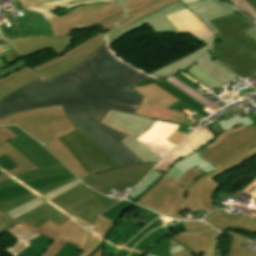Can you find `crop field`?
I'll use <instances>...</instances> for the list:
<instances>
[{"instance_id":"obj_46","label":"crop field","mask_w":256,"mask_h":256,"mask_svg":"<svg viewBox=\"0 0 256 256\" xmlns=\"http://www.w3.org/2000/svg\"><path fill=\"white\" fill-rule=\"evenodd\" d=\"M193 129L180 125V127L168 138V140L174 142L176 145Z\"/></svg>"},{"instance_id":"obj_68","label":"crop field","mask_w":256,"mask_h":256,"mask_svg":"<svg viewBox=\"0 0 256 256\" xmlns=\"http://www.w3.org/2000/svg\"><path fill=\"white\" fill-rule=\"evenodd\" d=\"M251 150L256 153V146L251 148Z\"/></svg>"},{"instance_id":"obj_16","label":"crop field","mask_w":256,"mask_h":256,"mask_svg":"<svg viewBox=\"0 0 256 256\" xmlns=\"http://www.w3.org/2000/svg\"><path fill=\"white\" fill-rule=\"evenodd\" d=\"M18 137L10 140L39 169L62 165L49 151L16 126H7Z\"/></svg>"},{"instance_id":"obj_63","label":"crop field","mask_w":256,"mask_h":256,"mask_svg":"<svg viewBox=\"0 0 256 256\" xmlns=\"http://www.w3.org/2000/svg\"><path fill=\"white\" fill-rule=\"evenodd\" d=\"M172 229L176 232V234L183 231L182 224L179 226H174Z\"/></svg>"},{"instance_id":"obj_2","label":"crop field","mask_w":256,"mask_h":256,"mask_svg":"<svg viewBox=\"0 0 256 256\" xmlns=\"http://www.w3.org/2000/svg\"><path fill=\"white\" fill-rule=\"evenodd\" d=\"M142 96L128 87L100 97L63 104L62 107L76 129H82L120 167L143 163L119 140L128 136L99 125L110 109L133 113Z\"/></svg>"},{"instance_id":"obj_18","label":"crop field","mask_w":256,"mask_h":256,"mask_svg":"<svg viewBox=\"0 0 256 256\" xmlns=\"http://www.w3.org/2000/svg\"><path fill=\"white\" fill-rule=\"evenodd\" d=\"M179 127L178 124L156 121L155 124L138 139L161 159L176 145L166 139Z\"/></svg>"},{"instance_id":"obj_9","label":"crop field","mask_w":256,"mask_h":256,"mask_svg":"<svg viewBox=\"0 0 256 256\" xmlns=\"http://www.w3.org/2000/svg\"><path fill=\"white\" fill-rule=\"evenodd\" d=\"M156 1L120 0L106 5L79 7L63 17L55 16L47 22L51 24L54 36L69 35L74 29H86L99 22L103 27Z\"/></svg>"},{"instance_id":"obj_62","label":"crop field","mask_w":256,"mask_h":256,"mask_svg":"<svg viewBox=\"0 0 256 256\" xmlns=\"http://www.w3.org/2000/svg\"><path fill=\"white\" fill-rule=\"evenodd\" d=\"M103 252H104V245L102 247H100L93 256H103Z\"/></svg>"},{"instance_id":"obj_42","label":"crop field","mask_w":256,"mask_h":256,"mask_svg":"<svg viewBox=\"0 0 256 256\" xmlns=\"http://www.w3.org/2000/svg\"><path fill=\"white\" fill-rule=\"evenodd\" d=\"M235 114L236 115L234 117L226 121L222 119L217 123L222 128L223 131L235 128L239 125H243L245 127H250L255 125L248 117L240 118L237 113Z\"/></svg>"},{"instance_id":"obj_26","label":"crop field","mask_w":256,"mask_h":256,"mask_svg":"<svg viewBox=\"0 0 256 256\" xmlns=\"http://www.w3.org/2000/svg\"><path fill=\"white\" fill-rule=\"evenodd\" d=\"M152 83L158 85L159 87L163 88L167 92L171 93L173 96L178 98L180 101H182L183 103H185L186 105H188L189 107H191L192 109L196 110L197 112L201 113L202 115H204L206 117L209 116L210 114H212L213 112H215V111L207 108L206 106H204L202 103H200L195 98L184 93L179 88H177L176 86H174L172 83H170L169 81H167L165 79H155V78L151 77V78H149L147 80H143L133 86L148 85V84H152Z\"/></svg>"},{"instance_id":"obj_31","label":"crop field","mask_w":256,"mask_h":256,"mask_svg":"<svg viewBox=\"0 0 256 256\" xmlns=\"http://www.w3.org/2000/svg\"><path fill=\"white\" fill-rule=\"evenodd\" d=\"M80 183H82V182L79 181L78 179H76V180H74V181H72V182H70L68 184H65V185H63V186H61V187H59L57 189H54V190H52V191H50V192H48V193H46V194H44V195L34 199L32 201H29V202H27V203H25V204L15 208V209H13V210L7 212V214L10 215L14 219V218H16V217H18V216H20V215L30 211L31 209H33V208H35V207H37V206H39V205L49 201L50 199H52V198H54V197H56V196H58V195H60V194H62L64 192H66L67 190H69V189L73 188L74 186H76V184L78 185Z\"/></svg>"},{"instance_id":"obj_7","label":"crop field","mask_w":256,"mask_h":256,"mask_svg":"<svg viewBox=\"0 0 256 256\" xmlns=\"http://www.w3.org/2000/svg\"><path fill=\"white\" fill-rule=\"evenodd\" d=\"M210 23L220 31L215 34V59L245 79L256 70V42L244 31L255 24L238 12Z\"/></svg>"},{"instance_id":"obj_70","label":"crop field","mask_w":256,"mask_h":256,"mask_svg":"<svg viewBox=\"0 0 256 256\" xmlns=\"http://www.w3.org/2000/svg\"><path fill=\"white\" fill-rule=\"evenodd\" d=\"M2 64H3V62H2L1 57H0V68H1Z\"/></svg>"},{"instance_id":"obj_34","label":"crop field","mask_w":256,"mask_h":256,"mask_svg":"<svg viewBox=\"0 0 256 256\" xmlns=\"http://www.w3.org/2000/svg\"><path fill=\"white\" fill-rule=\"evenodd\" d=\"M16 24L21 38L27 36H53L50 24L46 20H24Z\"/></svg>"},{"instance_id":"obj_12","label":"crop field","mask_w":256,"mask_h":256,"mask_svg":"<svg viewBox=\"0 0 256 256\" xmlns=\"http://www.w3.org/2000/svg\"><path fill=\"white\" fill-rule=\"evenodd\" d=\"M22 224L54 239L48 249L41 256H54L67 241L79 245L77 250L83 251L86 240L93 226V224L76 215L60 226L50 220L38 229L24 221Z\"/></svg>"},{"instance_id":"obj_24","label":"crop field","mask_w":256,"mask_h":256,"mask_svg":"<svg viewBox=\"0 0 256 256\" xmlns=\"http://www.w3.org/2000/svg\"><path fill=\"white\" fill-rule=\"evenodd\" d=\"M186 7L189 8L200 20H202L214 33L218 32V30L208 21L236 12L213 0L196 1L186 4Z\"/></svg>"},{"instance_id":"obj_33","label":"crop field","mask_w":256,"mask_h":256,"mask_svg":"<svg viewBox=\"0 0 256 256\" xmlns=\"http://www.w3.org/2000/svg\"><path fill=\"white\" fill-rule=\"evenodd\" d=\"M7 232L18 240L13 246L5 249L13 256L19 254L22 250L32 244L40 236V234L23 226L22 224L15 226Z\"/></svg>"},{"instance_id":"obj_32","label":"crop field","mask_w":256,"mask_h":256,"mask_svg":"<svg viewBox=\"0 0 256 256\" xmlns=\"http://www.w3.org/2000/svg\"><path fill=\"white\" fill-rule=\"evenodd\" d=\"M52 239L41 235L32 245L17 256H40L49 246ZM77 245L66 243L55 256H79L81 251L75 250Z\"/></svg>"},{"instance_id":"obj_69","label":"crop field","mask_w":256,"mask_h":256,"mask_svg":"<svg viewBox=\"0 0 256 256\" xmlns=\"http://www.w3.org/2000/svg\"><path fill=\"white\" fill-rule=\"evenodd\" d=\"M197 219H199V218H197V217H192L190 220H197Z\"/></svg>"},{"instance_id":"obj_54","label":"crop field","mask_w":256,"mask_h":256,"mask_svg":"<svg viewBox=\"0 0 256 256\" xmlns=\"http://www.w3.org/2000/svg\"><path fill=\"white\" fill-rule=\"evenodd\" d=\"M170 245H171V247H170L171 254L185 250V248L181 244H178L177 242H175L172 239H169V246Z\"/></svg>"},{"instance_id":"obj_5","label":"crop field","mask_w":256,"mask_h":256,"mask_svg":"<svg viewBox=\"0 0 256 256\" xmlns=\"http://www.w3.org/2000/svg\"><path fill=\"white\" fill-rule=\"evenodd\" d=\"M60 140L91 175L82 181L104 195L110 189L121 191L137 184L156 164L120 168L81 129Z\"/></svg>"},{"instance_id":"obj_20","label":"crop field","mask_w":256,"mask_h":256,"mask_svg":"<svg viewBox=\"0 0 256 256\" xmlns=\"http://www.w3.org/2000/svg\"><path fill=\"white\" fill-rule=\"evenodd\" d=\"M15 166L17 165L14 164L5 155L0 157V174L14 168ZM64 173L69 174L71 172L66 167L51 168V169L37 170V171H27L1 182L0 188L13 186V185L33 181V180L51 177V176L63 175Z\"/></svg>"},{"instance_id":"obj_27","label":"crop field","mask_w":256,"mask_h":256,"mask_svg":"<svg viewBox=\"0 0 256 256\" xmlns=\"http://www.w3.org/2000/svg\"><path fill=\"white\" fill-rule=\"evenodd\" d=\"M4 154L7 157H9L13 162H15L18 166L7 173L0 175V182L18 173H21L27 170L38 169L9 141L0 144V156Z\"/></svg>"},{"instance_id":"obj_17","label":"crop field","mask_w":256,"mask_h":256,"mask_svg":"<svg viewBox=\"0 0 256 256\" xmlns=\"http://www.w3.org/2000/svg\"><path fill=\"white\" fill-rule=\"evenodd\" d=\"M182 8H185L183 3L181 1L174 3L172 5H169L151 15L148 17L120 30L119 32L109 36L107 39L110 44L116 42L120 38L124 37L128 33L143 27L145 25H149L150 28L156 33H179L178 30L175 28L173 24L169 20H167L164 16L168 15L174 11L180 10Z\"/></svg>"},{"instance_id":"obj_52","label":"crop field","mask_w":256,"mask_h":256,"mask_svg":"<svg viewBox=\"0 0 256 256\" xmlns=\"http://www.w3.org/2000/svg\"><path fill=\"white\" fill-rule=\"evenodd\" d=\"M240 10H242L243 12L247 13L248 15H250L254 20H256V12L254 11V9L244 0L241 2V4L237 7Z\"/></svg>"},{"instance_id":"obj_36","label":"crop field","mask_w":256,"mask_h":256,"mask_svg":"<svg viewBox=\"0 0 256 256\" xmlns=\"http://www.w3.org/2000/svg\"><path fill=\"white\" fill-rule=\"evenodd\" d=\"M197 154L198 153H195V154H192V155L182 159L181 161H179L174 166L177 167L183 173L187 169H190V168L195 167V166L201 167L207 173L211 172L213 170H216V168L213 165H211L210 163H208L205 160H203L202 158H200Z\"/></svg>"},{"instance_id":"obj_10","label":"crop field","mask_w":256,"mask_h":256,"mask_svg":"<svg viewBox=\"0 0 256 256\" xmlns=\"http://www.w3.org/2000/svg\"><path fill=\"white\" fill-rule=\"evenodd\" d=\"M256 145V133L247 129L232 133L216 146L199 155L216 168L225 172L249 158L255 157L249 148Z\"/></svg>"},{"instance_id":"obj_28","label":"crop field","mask_w":256,"mask_h":256,"mask_svg":"<svg viewBox=\"0 0 256 256\" xmlns=\"http://www.w3.org/2000/svg\"><path fill=\"white\" fill-rule=\"evenodd\" d=\"M69 177L70 178L74 177V175L69 174V175L51 177V178L42 179V180H38V181L26 183V184H21L13 187L0 189V200H8V199L16 198L27 192L38 190L52 183H55L64 179H68Z\"/></svg>"},{"instance_id":"obj_50","label":"crop field","mask_w":256,"mask_h":256,"mask_svg":"<svg viewBox=\"0 0 256 256\" xmlns=\"http://www.w3.org/2000/svg\"><path fill=\"white\" fill-rule=\"evenodd\" d=\"M244 128H245V127L240 126V127L235 128V129H232V130H229V131H226V132H222L221 134L218 135V138L215 140L214 143L210 144L209 146L207 145L208 147H206V148L200 150V153H199V154L203 153L204 151H206V150H208L209 148L213 147L214 145L218 144V143L223 139V137H224L225 135H227V134H229V133H232V132H235V131H238V130H242V129H244ZM199 154H198V155H199Z\"/></svg>"},{"instance_id":"obj_41","label":"crop field","mask_w":256,"mask_h":256,"mask_svg":"<svg viewBox=\"0 0 256 256\" xmlns=\"http://www.w3.org/2000/svg\"><path fill=\"white\" fill-rule=\"evenodd\" d=\"M188 70L190 73H192L194 76H196L198 79L203 81L208 86L215 88V87H221L223 83L213 78L211 75H209L207 72H205L203 69H201L197 65H192L189 67Z\"/></svg>"},{"instance_id":"obj_59","label":"crop field","mask_w":256,"mask_h":256,"mask_svg":"<svg viewBox=\"0 0 256 256\" xmlns=\"http://www.w3.org/2000/svg\"><path fill=\"white\" fill-rule=\"evenodd\" d=\"M245 32L256 41V26Z\"/></svg>"},{"instance_id":"obj_39","label":"crop field","mask_w":256,"mask_h":256,"mask_svg":"<svg viewBox=\"0 0 256 256\" xmlns=\"http://www.w3.org/2000/svg\"><path fill=\"white\" fill-rule=\"evenodd\" d=\"M192 152L194 151L191 148L182 143L179 147L172 151L165 159H163L154 170L165 173L170 168L169 166L173 161L182 156H186Z\"/></svg>"},{"instance_id":"obj_29","label":"crop field","mask_w":256,"mask_h":256,"mask_svg":"<svg viewBox=\"0 0 256 256\" xmlns=\"http://www.w3.org/2000/svg\"><path fill=\"white\" fill-rule=\"evenodd\" d=\"M179 0H160L142 10H139L129 16H126L106 27H104L106 37L117 32L118 30L132 24L133 22Z\"/></svg>"},{"instance_id":"obj_71","label":"crop field","mask_w":256,"mask_h":256,"mask_svg":"<svg viewBox=\"0 0 256 256\" xmlns=\"http://www.w3.org/2000/svg\"><path fill=\"white\" fill-rule=\"evenodd\" d=\"M251 75H256V71L254 73H252Z\"/></svg>"},{"instance_id":"obj_3","label":"crop field","mask_w":256,"mask_h":256,"mask_svg":"<svg viewBox=\"0 0 256 256\" xmlns=\"http://www.w3.org/2000/svg\"><path fill=\"white\" fill-rule=\"evenodd\" d=\"M72 179L74 180L76 177L52 184L35 192L27 193L13 200L0 201V209L5 213L54 188L72 181ZM117 202L119 200L107 198L92 191L82 183L14 220L5 214L17 224L24 220L36 228L49 219L60 225L75 214L93 223L94 219L100 213Z\"/></svg>"},{"instance_id":"obj_35","label":"crop field","mask_w":256,"mask_h":256,"mask_svg":"<svg viewBox=\"0 0 256 256\" xmlns=\"http://www.w3.org/2000/svg\"><path fill=\"white\" fill-rule=\"evenodd\" d=\"M76 1H81V0H59V1H54V2H50V3L42 4V5L29 6L26 9L33 10V11H38V12L42 13L45 16L46 19H48V18H51V17L55 16L52 13H50L48 10L55 9V8H57V9L58 8H66L67 9V8L72 7L74 5H81V4H88V3H91V2H96V1H91V2H85V3H77V4H74V5H67L69 3L76 2ZM97 1L112 2V1H115V0H97Z\"/></svg>"},{"instance_id":"obj_66","label":"crop field","mask_w":256,"mask_h":256,"mask_svg":"<svg viewBox=\"0 0 256 256\" xmlns=\"http://www.w3.org/2000/svg\"><path fill=\"white\" fill-rule=\"evenodd\" d=\"M222 1H224V2H226V3H228V4L232 5V6H234V4L231 2V0H222Z\"/></svg>"},{"instance_id":"obj_30","label":"crop field","mask_w":256,"mask_h":256,"mask_svg":"<svg viewBox=\"0 0 256 256\" xmlns=\"http://www.w3.org/2000/svg\"><path fill=\"white\" fill-rule=\"evenodd\" d=\"M115 222L98 216L87 246L81 256H92L104 244L105 235L112 229Z\"/></svg>"},{"instance_id":"obj_58","label":"crop field","mask_w":256,"mask_h":256,"mask_svg":"<svg viewBox=\"0 0 256 256\" xmlns=\"http://www.w3.org/2000/svg\"><path fill=\"white\" fill-rule=\"evenodd\" d=\"M173 256H194V255L192 253H190L188 250H185L180 253L174 254ZM202 256H213V255L204 251Z\"/></svg>"},{"instance_id":"obj_51","label":"crop field","mask_w":256,"mask_h":256,"mask_svg":"<svg viewBox=\"0 0 256 256\" xmlns=\"http://www.w3.org/2000/svg\"><path fill=\"white\" fill-rule=\"evenodd\" d=\"M16 137L7 127L0 126V143Z\"/></svg>"},{"instance_id":"obj_15","label":"crop field","mask_w":256,"mask_h":256,"mask_svg":"<svg viewBox=\"0 0 256 256\" xmlns=\"http://www.w3.org/2000/svg\"><path fill=\"white\" fill-rule=\"evenodd\" d=\"M182 223L184 231L172 239L181 243L195 256H201L204 250L217 255V231L214 228L200 222Z\"/></svg>"},{"instance_id":"obj_37","label":"crop field","mask_w":256,"mask_h":256,"mask_svg":"<svg viewBox=\"0 0 256 256\" xmlns=\"http://www.w3.org/2000/svg\"><path fill=\"white\" fill-rule=\"evenodd\" d=\"M215 137V134L207 128L198 126L194 132L183 142L189 144L195 150L206 144L211 138Z\"/></svg>"},{"instance_id":"obj_57","label":"crop field","mask_w":256,"mask_h":256,"mask_svg":"<svg viewBox=\"0 0 256 256\" xmlns=\"http://www.w3.org/2000/svg\"><path fill=\"white\" fill-rule=\"evenodd\" d=\"M19 1L26 6H29V5L39 4V3H43L51 0H19Z\"/></svg>"},{"instance_id":"obj_55","label":"crop field","mask_w":256,"mask_h":256,"mask_svg":"<svg viewBox=\"0 0 256 256\" xmlns=\"http://www.w3.org/2000/svg\"><path fill=\"white\" fill-rule=\"evenodd\" d=\"M242 192L256 199V179L248 187L242 190Z\"/></svg>"},{"instance_id":"obj_49","label":"crop field","mask_w":256,"mask_h":256,"mask_svg":"<svg viewBox=\"0 0 256 256\" xmlns=\"http://www.w3.org/2000/svg\"><path fill=\"white\" fill-rule=\"evenodd\" d=\"M27 65L22 59L14 64H12L11 66L3 69L1 72H0V78Z\"/></svg>"},{"instance_id":"obj_53","label":"crop field","mask_w":256,"mask_h":256,"mask_svg":"<svg viewBox=\"0 0 256 256\" xmlns=\"http://www.w3.org/2000/svg\"><path fill=\"white\" fill-rule=\"evenodd\" d=\"M22 11L27 14L26 17L25 18L16 19V22L20 21V20H24V19H45L43 17V15L40 14V13L32 12V11H27V10H24V9Z\"/></svg>"},{"instance_id":"obj_40","label":"crop field","mask_w":256,"mask_h":256,"mask_svg":"<svg viewBox=\"0 0 256 256\" xmlns=\"http://www.w3.org/2000/svg\"><path fill=\"white\" fill-rule=\"evenodd\" d=\"M167 80L172 82L174 85L179 87L184 92H186V93L190 94L191 96L195 97L196 99H198L200 102H202L207 107H209V108H211V109H213L215 111L220 108L219 106H217L213 102L209 101L205 97H203V96L199 95L198 93L194 92L195 90L193 91L191 88H189L188 86H186L185 84H183L182 82L177 80L175 77L172 76V77L168 78Z\"/></svg>"},{"instance_id":"obj_60","label":"crop field","mask_w":256,"mask_h":256,"mask_svg":"<svg viewBox=\"0 0 256 256\" xmlns=\"http://www.w3.org/2000/svg\"><path fill=\"white\" fill-rule=\"evenodd\" d=\"M202 40H204L212 49L213 35L208 38L202 39Z\"/></svg>"},{"instance_id":"obj_67","label":"crop field","mask_w":256,"mask_h":256,"mask_svg":"<svg viewBox=\"0 0 256 256\" xmlns=\"http://www.w3.org/2000/svg\"><path fill=\"white\" fill-rule=\"evenodd\" d=\"M184 2V4L186 3H189V2H193V1H196V0H182Z\"/></svg>"},{"instance_id":"obj_47","label":"crop field","mask_w":256,"mask_h":256,"mask_svg":"<svg viewBox=\"0 0 256 256\" xmlns=\"http://www.w3.org/2000/svg\"><path fill=\"white\" fill-rule=\"evenodd\" d=\"M124 244L117 242L116 244L105 239V253L104 256H112L115 254Z\"/></svg>"},{"instance_id":"obj_56","label":"crop field","mask_w":256,"mask_h":256,"mask_svg":"<svg viewBox=\"0 0 256 256\" xmlns=\"http://www.w3.org/2000/svg\"><path fill=\"white\" fill-rule=\"evenodd\" d=\"M183 175L182 172H180L177 168H175L174 166H172V168H170L165 176L174 178V179H179L181 176Z\"/></svg>"},{"instance_id":"obj_14","label":"crop field","mask_w":256,"mask_h":256,"mask_svg":"<svg viewBox=\"0 0 256 256\" xmlns=\"http://www.w3.org/2000/svg\"><path fill=\"white\" fill-rule=\"evenodd\" d=\"M197 64L210 73L212 76L223 82L224 84L237 78L232 73L218 65L212 58L211 51L209 50L208 46H204L198 51L162 68L159 69L151 75L156 77H168L172 74L178 73L181 70L188 68L192 64Z\"/></svg>"},{"instance_id":"obj_6","label":"crop field","mask_w":256,"mask_h":256,"mask_svg":"<svg viewBox=\"0 0 256 256\" xmlns=\"http://www.w3.org/2000/svg\"><path fill=\"white\" fill-rule=\"evenodd\" d=\"M0 124H17L51 150L80 179L89 176L74 156L58 139L76 131L61 105L12 114ZM27 132V133H28Z\"/></svg>"},{"instance_id":"obj_45","label":"crop field","mask_w":256,"mask_h":256,"mask_svg":"<svg viewBox=\"0 0 256 256\" xmlns=\"http://www.w3.org/2000/svg\"><path fill=\"white\" fill-rule=\"evenodd\" d=\"M11 28H7L6 24H1L0 25V30L1 33L4 37L5 40H14V39H19V33L17 30V26H10Z\"/></svg>"},{"instance_id":"obj_1","label":"crop field","mask_w":256,"mask_h":256,"mask_svg":"<svg viewBox=\"0 0 256 256\" xmlns=\"http://www.w3.org/2000/svg\"><path fill=\"white\" fill-rule=\"evenodd\" d=\"M148 77L118 59L106 42L75 69L48 81L40 78L2 98L0 118L19 111L101 95Z\"/></svg>"},{"instance_id":"obj_11","label":"crop field","mask_w":256,"mask_h":256,"mask_svg":"<svg viewBox=\"0 0 256 256\" xmlns=\"http://www.w3.org/2000/svg\"><path fill=\"white\" fill-rule=\"evenodd\" d=\"M154 122V120L147 117L110 110L105 118L101 120L100 124L130 135L121 140V142L132 150L144 163H148L158 162L161 159L135 139L148 130Z\"/></svg>"},{"instance_id":"obj_8","label":"crop field","mask_w":256,"mask_h":256,"mask_svg":"<svg viewBox=\"0 0 256 256\" xmlns=\"http://www.w3.org/2000/svg\"><path fill=\"white\" fill-rule=\"evenodd\" d=\"M106 41L104 33L97 34L92 39L82 43L61 57H57L32 69L27 65L1 78L0 99L41 76L47 80L76 67Z\"/></svg>"},{"instance_id":"obj_48","label":"crop field","mask_w":256,"mask_h":256,"mask_svg":"<svg viewBox=\"0 0 256 256\" xmlns=\"http://www.w3.org/2000/svg\"><path fill=\"white\" fill-rule=\"evenodd\" d=\"M16 224L12 222L1 210H0V234L8 229H11Z\"/></svg>"},{"instance_id":"obj_22","label":"crop field","mask_w":256,"mask_h":256,"mask_svg":"<svg viewBox=\"0 0 256 256\" xmlns=\"http://www.w3.org/2000/svg\"><path fill=\"white\" fill-rule=\"evenodd\" d=\"M166 18L169 19L176 26L180 33L195 36L200 39L208 37L213 34L186 8L174 12L166 16Z\"/></svg>"},{"instance_id":"obj_4","label":"crop field","mask_w":256,"mask_h":256,"mask_svg":"<svg viewBox=\"0 0 256 256\" xmlns=\"http://www.w3.org/2000/svg\"><path fill=\"white\" fill-rule=\"evenodd\" d=\"M197 169L201 168L186 171L179 180L164 176L135 203L177 219H186L178 214L184 209L191 213L200 209L210 213L215 210L213 196L220 185L213 178L222 172L217 170L201 177Z\"/></svg>"},{"instance_id":"obj_21","label":"crop field","mask_w":256,"mask_h":256,"mask_svg":"<svg viewBox=\"0 0 256 256\" xmlns=\"http://www.w3.org/2000/svg\"><path fill=\"white\" fill-rule=\"evenodd\" d=\"M134 113L147 116L155 120L178 123L193 128L198 124V122L192 118V120H189V118H187L188 116L182 111H173L155 107L145 97H143Z\"/></svg>"},{"instance_id":"obj_61","label":"crop field","mask_w":256,"mask_h":256,"mask_svg":"<svg viewBox=\"0 0 256 256\" xmlns=\"http://www.w3.org/2000/svg\"><path fill=\"white\" fill-rule=\"evenodd\" d=\"M6 14H7L6 16H7L8 20H9V24H10V25L15 24V21H14V18H13V16H12V14L9 13V12H7Z\"/></svg>"},{"instance_id":"obj_23","label":"crop field","mask_w":256,"mask_h":256,"mask_svg":"<svg viewBox=\"0 0 256 256\" xmlns=\"http://www.w3.org/2000/svg\"><path fill=\"white\" fill-rule=\"evenodd\" d=\"M204 220L216 227L218 229H242L249 232H256V216L248 214L246 218L242 217H232L224 214L223 210L215 211L209 214ZM256 238V237H255Z\"/></svg>"},{"instance_id":"obj_43","label":"crop field","mask_w":256,"mask_h":256,"mask_svg":"<svg viewBox=\"0 0 256 256\" xmlns=\"http://www.w3.org/2000/svg\"><path fill=\"white\" fill-rule=\"evenodd\" d=\"M244 242V239L233 235L229 256H256V253L239 247Z\"/></svg>"},{"instance_id":"obj_44","label":"crop field","mask_w":256,"mask_h":256,"mask_svg":"<svg viewBox=\"0 0 256 256\" xmlns=\"http://www.w3.org/2000/svg\"><path fill=\"white\" fill-rule=\"evenodd\" d=\"M132 204L128 201H121L118 205L108 209L101 215L116 222L122 213Z\"/></svg>"},{"instance_id":"obj_65","label":"crop field","mask_w":256,"mask_h":256,"mask_svg":"<svg viewBox=\"0 0 256 256\" xmlns=\"http://www.w3.org/2000/svg\"><path fill=\"white\" fill-rule=\"evenodd\" d=\"M233 1V3L236 5V7L240 4V2L242 1V0H232ZM235 7V8H236Z\"/></svg>"},{"instance_id":"obj_38","label":"crop field","mask_w":256,"mask_h":256,"mask_svg":"<svg viewBox=\"0 0 256 256\" xmlns=\"http://www.w3.org/2000/svg\"><path fill=\"white\" fill-rule=\"evenodd\" d=\"M163 175L164 173L152 171L144 181H142L130 191L129 196L132 197L135 201L145 192H147L151 187H153L162 178Z\"/></svg>"},{"instance_id":"obj_64","label":"crop field","mask_w":256,"mask_h":256,"mask_svg":"<svg viewBox=\"0 0 256 256\" xmlns=\"http://www.w3.org/2000/svg\"><path fill=\"white\" fill-rule=\"evenodd\" d=\"M256 10V0H246Z\"/></svg>"},{"instance_id":"obj_13","label":"crop field","mask_w":256,"mask_h":256,"mask_svg":"<svg viewBox=\"0 0 256 256\" xmlns=\"http://www.w3.org/2000/svg\"><path fill=\"white\" fill-rule=\"evenodd\" d=\"M165 234L167 231L153 222L114 256H172Z\"/></svg>"},{"instance_id":"obj_25","label":"crop field","mask_w":256,"mask_h":256,"mask_svg":"<svg viewBox=\"0 0 256 256\" xmlns=\"http://www.w3.org/2000/svg\"><path fill=\"white\" fill-rule=\"evenodd\" d=\"M135 91H137L142 96H145L148 100H150L155 106L173 109V110H183L185 108L196 112L177 100L171 94L167 93L163 89L159 88L158 86L152 84L148 86H141V87H132ZM197 113V112H196ZM199 117L203 118L201 114L197 113Z\"/></svg>"},{"instance_id":"obj_19","label":"crop field","mask_w":256,"mask_h":256,"mask_svg":"<svg viewBox=\"0 0 256 256\" xmlns=\"http://www.w3.org/2000/svg\"><path fill=\"white\" fill-rule=\"evenodd\" d=\"M72 35L68 37H33L8 42L14 51L25 57L40 51L52 48L56 54H60L69 44Z\"/></svg>"}]
</instances>
